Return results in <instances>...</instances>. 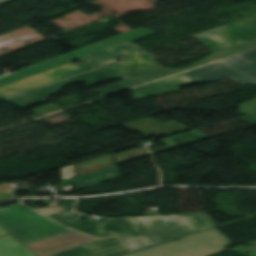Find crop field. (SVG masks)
<instances>
[{
  "label": "crop field",
  "mask_w": 256,
  "mask_h": 256,
  "mask_svg": "<svg viewBox=\"0 0 256 256\" xmlns=\"http://www.w3.org/2000/svg\"><path fill=\"white\" fill-rule=\"evenodd\" d=\"M74 204L75 199H62L59 208L46 217L101 239L51 256H120L129 253L120 237L140 234L128 218L104 217L98 223L79 220L83 214L72 212Z\"/></svg>",
  "instance_id": "obj_1"
},
{
  "label": "crop field",
  "mask_w": 256,
  "mask_h": 256,
  "mask_svg": "<svg viewBox=\"0 0 256 256\" xmlns=\"http://www.w3.org/2000/svg\"><path fill=\"white\" fill-rule=\"evenodd\" d=\"M128 218L142 235L122 238L130 252L216 227L205 212Z\"/></svg>",
  "instance_id": "obj_2"
},
{
  "label": "crop field",
  "mask_w": 256,
  "mask_h": 256,
  "mask_svg": "<svg viewBox=\"0 0 256 256\" xmlns=\"http://www.w3.org/2000/svg\"><path fill=\"white\" fill-rule=\"evenodd\" d=\"M159 68L162 67L156 61H154L148 53H144L98 70L82 74L72 79L52 84L5 100L16 106L24 108L45 101L48 95L57 93L63 86L80 80L84 81L88 86H90L115 78L126 79Z\"/></svg>",
  "instance_id": "obj_3"
},
{
  "label": "crop field",
  "mask_w": 256,
  "mask_h": 256,
  "mask_svg": "<svg viewBox=\"0 0 256 256\" xmlns=\"http://www.w3.org/2000/svg\"><path fill=\"white\" fill-rule=\"evenodd\" d=\"M0 226L23 245L70 231L33 212L21 202L0 209Z\"/></svg>",
  "instance_id": "obj_4"
},
{
  "label": "crop field",
  "mask_w": 256,
  "mask_h": 256,
  "mask_svg": "<svg viewBox=\"0 0 256 256\" xmlns=\"http://www.w3.org/2000/svg\"><path fill=\"white\" fill-rule=\"evenodd\" d=\"M230 241L216 228L127 256H206L225 251Z\"/></svg>",
  "instance_id": "obj_5"
},
{
  "label": "crop field",
  "mask_w": 256,
  "mask_h": 256,
  "mask_svg": "<svg viewBox=\"0 0 256 256\" xmlns=\"http://www.w3.org/2000/svg\"><path fill=\"white\" fill-rule=\"evenodd\" d=\"M155 31L144 29L141 27L135 28L133 30L121 33L119 35L110 37L108 39L96 42L94 44L79 48L77 50L65 53L63 55L57 56L55 58L49 59L47 61L41 62L39 64L33 65L31 67L21 69L15 72H11L6 76L0 78V85L12 82L14 80L56 67L58 65L79 59L84 56L92 55L100 51L118 46L120 44L132 41L139 37L145 36Z\"/></svg>",
  "instance_id": "obj_6"
},
{
  "label": "crop field",
  "mask_w": 256,
  "mask_h": 256,
  "mask_svg": "<svg viewBox=\"0 0 256 256\" xmlns=\"http://www.w3.org/2000/svg\"><path fill=\"white\" fill-rule=\"evenodd\" d=\"M256 49V40L250 41V42H246V43H242L239 45H236L234 47L231 48H227L225 50H220L218 52H214L211 56L205 57L203 60H201L200 62H198L197 64L191 66V67H187V68H182V69H178V70H174V69H170V68H162L159 70H155L146 74H142L133 78H129L126 80H123L119 83H116L114 85L99 89V93L100 96H105V95H109L115 92H119L125 89H129L153 80H157L163 77H167L173 74H177L186 70H190L202 65H206L209 63H212L214 61L217 60H222V59H226L232 56H236V55H241L246 51L249 50H253Z\"/></svg>",
  "instance_id": "obj_7"
},
{
  "label": "crop field",
  "mask_w": 256,
  "mask_h": 256,
  "mask_svg": "<svg viewBox=\"0 0 256 256\" xmlns=\"http://www.w3.org/2000/svg\"><path fill=\"white\" fill-rule=\"evenodd\" d=\"M194 38L212 52L256 39V15L202 33Z\"/></svg>",
  "instance_id": "obj_8"
},
{
  "label": "crop field",
  "mask_w": 256,
  "mask_h": 256,
  "mask_svg": "<svg viewBox=\"0 0 256 256\" xmlns=\"http://www.w3.org/2000/svg\"><path fill=\"white\" fill-rule=\"evenodd\" d=\"M82 72L85 71L73 63L65 64L0 88V99Z\"/></svg>",
  "instance_id": "obj_9"
},
{
  "label": "crop field",
  "mask_w": 256,
  "mask_h": 256,
  "mask_svg": "<svg viewBox=\"0 0 256 256\" xmlns=\"http://www.w3.org/2000/svg\"><path fill=\"white\" fill-rule=\"evenodd\" d=\"M97 239L99 238L73 230L25 246L38 256H47Z\"/></svg>",
  "instance_id": "obj_10"
},
{
  "label": "crop field",
  "mask_w": 256,
  "mask_h": 256,
  "mask_svg": "<svg viewBox=\"0 0 256 256\" xmlns=\"http://www.w3.org/2000/svg\"><path fill=\"white\" fill-rule=\"evenodd\" d=\"M185 74L194 79L197 83L218 81L227 77L241 84H256V79L239 73L219 63L189 71Z\"/></svg>",
  "instance_id": "obj_11"
},
{
  "label": "crop field",
  "mask_w": 256,
  "mask_h": 256,
  "mask_svg": "<svg viewBox=\"0 0 256 256\" xmlns=\"http://www.w3.org/2000/svg\"><path fill=\"white\" fill-rule=\"evenodd\" d=\"M139 47V46H138ZM133 43L129 42L126 44H123L121 46L103 51L101 53L81 58L79 60L86 62L85 64H82L81 62L76 63L78 66L83 68L84 70L88 71L94 68H97L99 66L126 58L128 56L144 52L140 48H138Z\"/></svg>",
  "instance_id": "obj_12"
},
{
  "label": "crop field",
  "mask_w": 256,
  "mask_h": 256,
  "mask_svg": "<svg viewBox=\"0 0 256 256\" xmlns=\"http://www.w3.org/2000/svg\"><path fill=\"white\" fill-rule=\"evenodd\" d=\"M196 83L184 73L169 77L133 90V99L144 98L152 95L175 92L179 86Z\"/></svg>",
  "instance_id": "obj_13"
},
{
  "label": "crop field",
  "mask_w": 256,
  "mask_h": 256,
  "mask_svg": "<svg viewBox=\"0 0 256 256\" xmlns=\"http://www.w3.org/2000/svg\"><path fill=\"white\" fill-rule=\"evenodd\" d=\"M122 125L133 131H138L140 133L145 134L142 136L144 138L153 136V135L155 136H159L162 134L169 135L176 132L191 129L189 127L183 126L173 121L163 124L149 117L142 118V119L132 121Z\"/></svg>",
  "instance_id": "obj_14"
},
{
  "label": "crop field",
  "mask_w": 256,
  "mask_h": 256,
  "mask_svg": "<svg viewBox=\"0 0 256 256\" xmlns=\"http://www.w3.org/2000/svg\"><path fill=\"white\" fill-rule=\"evenodd\" d=\"M219 63L256 78V50Z\"/></svg>",
  "instance_id": "obj_15"
},
{
  "label": "crop field",
  "mask_w": 256,
  "mask_h": 256,
  "mask_svg": "<svg viewBox=\"0 0 256 256\" xmlns=\"http://www.w3.org/2000/svg\"><path fill=\"white\" fill-rule=\"evenodd\" d=\"M119 173L116 167H111L108 169L84 174L76 177L77 189H82L88 186H92L98 183L109 181L115 178H119Z\"/></svg>",
  "instance_id": "obj_16"
},
{
  "label": "crop field",
  "mask_w": 256,
  "mask_h": 256,
  "mask_svg": "<svg viewBox=\"0 0 256 256\" xmlns=\"http://www.w3.org/2000/svg\"><path fill=\"white\" fill-rule=\"evenodd\" d=\"M0 256H36L10 234L0 238Z\"/></svg>",
  "instance_id": "obj_17"
},
{
  "label": "crop field",
  "mask_w": 256,
  "mask_h": 256,
  "mask_svg": "<svg viewBox=\"0 0 256 256\" xmlns=\"http://www.w3.org/2000/svg\"><path fill=\"white\" fill-rule=\"evenodd\" d=\"M239 111L238 113L240 114V116L242 115H246L252 112H256V98H253L247 102H244L240 105H238Z\"/></svg>",
  "instance_id": "obj_18"
},
{
  "label": "crop field",
  "mask_w": 256,
  "mask_h": 256,
  "mask_svg": "<svg viewBox=\"0 0 256 256\" xmlns=\"http://www.w3.org/2000/svg\"><path fill=\"white\" fill-rule=\"evenodd\" d=\"M7 234V232L0 227V236Z\"/></svg>",
  "instance_id": "obj_19"
}]
</instances>
